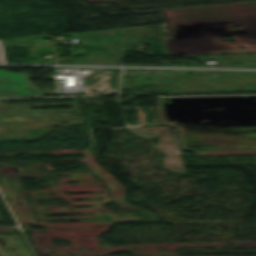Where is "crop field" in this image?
Masks as SVG:
<instances>
[{"label":"crop field","instance_id":"8a807250","mask_svg":"<svg viewBox=\"0 0 256 256\" xmlns=\"http://www.w3.org/2000/svg\"><path fill=\"white\" fill-rule=\"evenodd\" d=\"M31 77L34 76L0 70V96L53 94V90L36 88L31 84Z\"/></svg>","mask_w":256,"mask_h":256}]
</instances>
